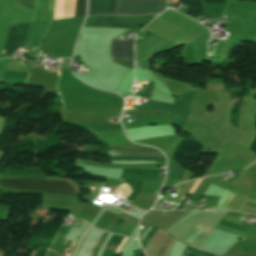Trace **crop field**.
Returning <instances> with one entry per match:
<instances>
[{"instance_id": "obj_6", "label": "crop field", "mask_w": 256, "mask_h": 256, "mask_svg": "<svg viewBox=\"0 0 256 256\" xmlns=\"http://www.w3.org/2000/svg\"><path fill=\"white\" fill-rule=\"evenodd\" d=\"M115 0H89L88 15H113Z\"/></svg>"}, {"instance_id": "obj_15", "label": "crop field", "mask_w": 256, "mask_h": 256, "mask_svg": "<svg viewBox=\"0 0 256 256\" xmlns=\"http://www.w3.org/2000/svg\"><path fill=\"white\" fill-rule=\"evenodd\" d=\"M73 241H67V244H66V246L65 247H68V248H71L72 247V245H73ZM74 246V245H73Z\"/></svg>"}, {"instance_id": "obj_18", "label": "crop field", "mask_w": 256, "mask_h": 256, "mask_svg": "<svg viewBox=\"0 0 256 256\" xmlns=\"http://www.w3.org/2000/svg\"><path fill=\"white\" fill-rule=\"evenodd\" d=\"M199 227V226H198ZM201 228V227H200ZM203 229V228H202ZM205 230V229H204ZM207 231V230H206ZM209 232V231H208Z\"/></svg>"}, {"instance_id": "obj_8", "label": "crop field", "mask_w": 256, "mask_h": 256, "mask_svg": "<svg viewBox=\"0 0 256 256\" xmlns=\"http://www.w3.org/2000/svg\"><path fill=\"white\" fill-rule=\"evenodd\" d=\"M178 1L189 5V8L185 14L193 18H195L196 16L202 15V3L200 0H178Z\"/></svg>"}, {"instance_id": "obj_13", "label": "crop field", "mask_w": 256, "mask_h": 256, "mask_svg": "<svg viewBox=\"0 0 256 256\" xmlns=\"http://www.w3.org/2000/svg\"><path fill=\"white\" fill-rule=\"evenodd\" d=\"M108 233H104V235L102 236L101 240L99 241L98 245L96 246V248L93 250V255L92 256H96V253L101 245V243L103 242V240L105 239V237L107 236Z\"/></svg>"}, {"instance_id": "obj_12", "label": "crop field", "mask_w": 256, "mask_h": 256, "mask_svg": "<svg viewBox=\"0 0 256 256\" xmlns=\"http://www.w3.org/2000/svg\"><path fill=\"white\" fill-rule=\"evenodd\" d=\"M15 4L34 11V0H16Z\"/></svg>"}, {"instance_id": "obj_19", "label": "crop field", "mask_w": 256, "mask_h": 256, "mask_svg": "<svg viewBox=\"0 0 256 256\" xmlns=\"http://www.w3.org/2000/svg\"><path fill=\"white\" fill-rule=\"evenodd\" d=\"M138 39H142V38H138Z\"/></svg>"}, {"instance_id": "obj_2", "label": "crop field", "mask_w": 256, "mask_h": 256, "mask_svg": "<svg viewBox=\"0 0 256 256\" xmlns=\"http://www.w3.org/2000/svg\"><path fill=\"white\" fill-rule=\"evenodd\" d=\"M167 0H119L116 15L158 14L164 11Z\"/></svg>"}, {"instance_id": "obj_16", "label": "crop field", "mask_w": 256, "mask_h": 256, "mask_svg": "<svg viewBox=\"0 0 256 256\" xmlns=\"http://www.w3.org/2000/svg\"><path fill=\"white\" fill-rule=\"evenodd\" d=\"M249 200L256 201V196L251 194Z\"/></svg>"}, {"instance_id": "obj_9", "label": "crop field", "mask_w": 256, "mask_h": 256, "mask_svg": "<svg viewBox=\"0 0 256 256\" xmlns=\"http://www.w3.org/2000/svg\"><path fill=\"white\" fill-rule=\"evenodd\" d=\"M120 239H121L120 236L113 235V237L111 238V240L109 241V243L105 247L104 251L105 252H113V250L115 249V247L119 243ZM125 240H126V238L122 237L120 243L118 244V246L116 247L114 252L118 253L120 251V249H121L123 243L125 242Z\"/></svg>"}, {"instance_id": "obj_7", "label": "crop field", "mask_w": 256, "mask_h": 256, "mask_svg": "<svg viewBox=\"0 0 256 256\" xmlns=\"http://www.w3.org/2000/svg\"><path fill=\"white\" fill-rule=\"evenodd\" d=\"M109 156H142L164 158L160 152H142V151H108Z\"/></svg>"}, {"instance_id": "obj_14", "label": "crop field", "mask_w": 256, "mask_h": 256, "mask_svg": "<svg viewBox=\"0 0 256 256\" xmlns=\"http://www.w3.org/2000/svg\"><path fill=\"white\" fill-rule=\"evenodd\" d=\"M225 0H202L203 4H207V3H222Z\"/></svg>"}, {"instance_id": "obj_17", "label": "crop field", "mask_w": 256, "mask_h": 256, "mask_svg": "<svg viewBox=\"0 0 256 256\" xmlns=\"http://www.w3.org/2000/svg\"><path fill=\"white\" fill-rule=\"evenodd\" d=\"M67 241V240H66ZM64 242H65V240H63V243L61 244V246H60V248H59V250H61V248H62V246H63V244H64ZM66 243V242H65ZM65 245V244H64ZM63 249V248H62Z\"/></svg>"}, {"instance_id": "obj_20", "label": "crop field", "mask_w": 256, "mask_h": 256, "mask_svg": "<svg viewBox=\"0 0 256 256\" xmlns=\"http://www.w3.org/2000/svg\"><path fill=\"white\" fill-rule=\"evenodd\" d=\"M0 69H2V68H0Z\"/></svg>"}, {"instance_id": "obj_5", "label": "crop field", "mask_w": 256, "mask_h": 256, "mask_svg": "<svg viewBox=\"0 0 256 256\" xmlns=\"http://www.w3.org/2000/svg\"><path fill=\"white\" fill-rule=\"evenodd\" d=\"M112 60H133V39H112Z\"/></svg>"}, {"instance_id": "obj_1", "label": "crop field", "mask_w": 256, "mask_h": 256, "mask_svg": "<svg viewBox=\"0 0 256 256\" xmlns=\"http://www.w3.org/2000/svg\"><path fill=\"white\" fill-rule=\"evenodd\" d=\"M0 185L14 190L26 192H48L75 196L74 188L62 181H36L26 179H6L0 180Z\"/></svg>"}, {"instance_id": "obj_3", "label": "crop field", "mask_w": 256, "mask_h": 256, "mask_svg": "<svg viewBox=\"0 0 256 256\" xmlns=\"http://www.w3.org/2000/svg\"><path fill=\"white\" fill-rule=\"evenodd\" d=\"M152 15L140 17H110L96 16L87 17L84 27H113L137 29L150 21Z\"/></svg>"}, {"instance_id": "obj_4", "label": "crop field", "mask_w": 256, "mask_h": 256, "mask_svg": "<svg viewBox=\"0 0 256 256\" xmlns=\"http://www.w3.org/2000/svg\"><path fill=\"white\" fill-rule=\"evenodd\" d=\"M29 24L11 26L8 31V35L5 41L4 50L5 54L13 55L16 48L24 44L25 36L29 27ZM2 51L3 53L5 51Z\"/></svg>"}, {"instance_id": "obj_11", "label": "crop field", "mask_w": 256, "mask_h": 256, "mask_svg": "<svg viewBox=\"0 0 256 256\" xmlns=\"http://www.w3.org/2000/svg\"><path fill=\"white\" fill-rule=\"evenodd\" d=\"M86 14V0H77L76 17L84 16ZM55 20V13H54Z\"/></svg>"}, {"instance_id": "obj_10", "label": "crop field", "mask_w": 256, "mask_h": 256, "mask_svg": "<svg viewBox=\"0 0 256 256\" xmlns=\"http://www.w3.org/2000/svg\"><path fill=\"white\" fill-rule=\"evenodd\" d=\"M46 24V21H41V22H37L36 26L34 28V32H33V36H32V40H31V46H35L37 47L38 42L40 40L41 34L44 30V26Z\"/></svg>"}]
</instances>
